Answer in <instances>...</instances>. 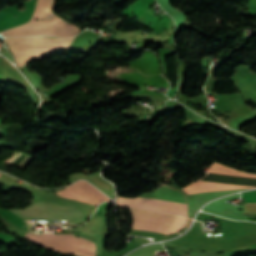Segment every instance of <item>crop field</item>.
Masks as SVG:
<instances>
[{
	"label": "crop field",
	"mask_w": 256,
	"mask_h": 256,
	"mask_svg": "<svg viewBox=\"0 0 256 256\" xmlns=\"http://www.w3.org/2000/svg\"><path fill=\"white\" fill-rule=\"evenodd\" d=\"M118 198L186 210V204H183V203L162 201V200L142 198V197H137L135 199L122 198V197H118ZM119 199H117V204L118 205L131 207V208H136V209H140V210H146V211H152V212H158V213H164V214H170V215H180V216L186 217V211H184V210L154 206V205H149V204L119 200Z\"/></svg>",
	"instance_id": "crop-field-5"
},
{
	"label": "crop field",
	"mask_w": 256,
	"mask_h": 256,
	"mask_svg": "<svg viewBox=\"0 0 256 256\" xmlns=\"http://www.w3.org/2000/svg\"><path fill=\"white\" fill-rule=\"evenodd\" d=\"M133 219V225L160 231L175 233L180 230L184 218H177L169 215L129 209ZM170 225V226H169ZM169 228L167 229V227Z\"/></svg>",
	"instance_id": "crop-field-3"
},
{
	"label": "crop field",
	"mask_w": 256,
	"mask_h": 256,
	"mask_svg": "<svg viewBox=\"0 0 256 256\" xmlns=\"http://www.w3.org/2000/svg\"><path fill=\"white\" fill-rule=\"evenodd\" d=\"M2 174H0V176H1Z\"/></svg>",
	"instance_id": "crop-field-9"
},
{
	"label": "crop field",
	"mask_w": 256,
	"mask_h": 256,
	"mask_svg": "<svg viewBox=\"0 0 256 256\" xmlns=\"http://www.w3.org/2000/svg\"><path fill=\"white\" fill-rule=\"evenodd\" d=\"M74 38L52 39L45 37H21L7 38L5 41L17 61V66L21 68L51 53H56L60 50L68 51Z\"/></svg>",
	"instance_id": "crop-field-1"
},
{
	"label": "crop field",
	"mask_w": 256,
	"mask_h": 256,
	"mask_svg": "<svg viewBox=\"0 0 256 256\" xmlns=\"http://www.w3.org/2000/svg\"><path fill=\"white\" fill-rule=\"evenodd\" d=\"M32 159H33V158H32ZM32 159H30V160H32ZM30 160H29V161H30ZM29 161H28V162H29ZM28 162H27V163H28ZM27 163H26V164H27ZM26 164H25V165H26ZM25 165H24V166H25ZM24 166H23V167H24Z\"/></svg>",
	"instance_id": "crop-field-8"
},
{
	"label": "crop field",
	"mask_w": 256,
	"mask_h": 256,
	"mask_svg": "<svg viewBox=\"0 0 256 256\" xmlns=\"http://www.w3.org/2000/svg\"><path fill=\"white\" fill-rule=\"evenodd\" d=\"M77 29L68 26L42 24V23H28L13 29L1 32V34L8 36H23V35H50L60 37H73L77 33Z\"/></svg>",
	"instance_id": "crop-field-4"
},
{
	"label": "crop field",
	"mask_w": 256,
	"mask_h": 256,
	"mask_svg": "<svg viewBox=\"0 0 256 256\" xmlns=\"http://www.w3.org/2000/svg\"><path fill=\"white\" fill-rule=\"evenodd\" d=\"M59 195L85 201L98 206L102 201H111L96 188L86 181H79L65 190L58 192Z\"/></svg>",
	"instance_id": "crop-field-6"
},
{
	"label": "crop field",
	"mask_w": 256,
	"mask_h": 256,
	"mask_svg": "<svg viewBox=\"0 0 256 256\" xmlns=\"http://www.w3.org/2000/svg\"><path fill=\"white\" fill-rule=\"evenodd\" d=\"M211 172H218V173H226V174H233V175H240V176H248V177H255V174H246L228 167H225L221 164L214 163L211 168L209 169Z\"/></svg>",
	"instance_id": "crop-field-7"
},
{
	"label": "crop field",
	"mask_w": 256,
	"mask_h": 256,
	"mask_svg": "<svg viewBox=\"0 0 256 256\" xmlns=\"http://www.w3.org/2000/svg\"><path fill=\"white\" fill-rule=\"evenodd\" d=\"M24 238L62 254L95 256V244L84 238H77L74 235L43 234L41 236H32L27 233Z\"/></svg>",
	"instance_id": "crop-field-2"
}]
</instances>
